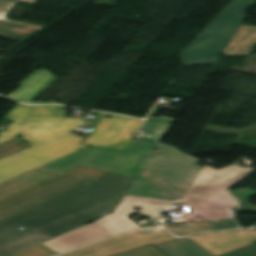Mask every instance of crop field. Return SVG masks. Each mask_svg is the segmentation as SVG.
Segmentation results:
<instances>
[{"label": "crop field", "mask_w": 256, "mask_h": 256, "mask_svg": "<svg viewBox=\"0 0 256 256\" xmlns=\"http://www.w3.org/2000/svg\"><path fill=\"white\" fill-rule=\"evenodd\" d=\"M199 159L162 144L157 147L112 214L53 237L11 256H55L106 237L140 227L127 217L140 213L153 221L171 203L192 206L206 218H230L237 201L227 189L253 169L237 164L215 170L196 165ZM140 207V211L133 210Z\"/></svg>", "instance_id": "1"}, {"label": "crop field", "mask_w": 256, "mask_h": 256, "mask_svg": "<svg viewBox=\"0 0 256 256\" xmlns=\"http://www.w3.org/2000/svg\"><path fill=\"white\" fill-rule=\"evenodd\" d=\"M133 179L109 174L0 222V256H8L112 213ZM25 229L20 230L19 227Z\"/></svg>", "instance_id": "2"}, {"label": "crop field", "mask_w": 256, "mask_h": 256, "mask_svg": "<svg viewBox=\"0 0 256 256\" xmlns=\"http://www.w3.org/2000/svg\"><path fill=\"white\" fill-rule=\"evenodd\" d=\"M103 116L83 145L82 137L73 133L50 141L0 162V182L81 150L89 145L123 151L143 122L133 118ZM138 130V129H137Z\"/></svg>", "instance_id": "3"}, {"label": "crop field", "mask_w": 256, "mask_h": 256, "mask_svg": "<svg viewBox=\"0 0 256 256\" xmlns=\"http://www.w3.org/2000/svg\"><path fill=\"white\" fill-rule=\"evenodd\" d=\"M95 179L38 168L0 183V221Z\"/></svg>", "instance_id": "4"}, {"label": "crop field", "mask_w": 256, "mask_h": 256, "mask_svg": "<svg viewBox=\"0 0 256 256\" xmlns=\"http://www.w3.org/2000/svg\"><path fill=\"white\" fill-rule=\"evenodd\" d=\"M218 18L182 54L186 66L215 64L224 47L245 19V10L254 0H232Z\"/></svg>", "instance_id": "5"}, {"label": "crop field", "mask_w": 256, "mask_h": 256, "mask_svg": "<svg viewBox=\"0 0 256 256\" xmlns=\"http://www.w3.org/2000/svg\"><path fill=\"white\" fill-rule=\"evenodd\" d=\"M26 106L20 103L5 116L14 120L9 126L23 127L21 137L31 146H35L75 130L84 120L64 118V107Z\"/></svg>", "instance_id": "6"}, {"label": "crop field", "mask_w": 256, "mask_h": 256, "mask_svg": "<svg viewBox=\"0 0 256 256\" xmlns=\"http://www.w3.org/2000/svg\"><path fill=\"white\" fill-rule=\"evenodd\" d=\"M148 159V156L90 146L41 168L64 172L83 165L135 179Z\"/></svg>", "instance_id": "7"}, {"label": "crop field", "mask_w": 256, "mask_h": 256, "mask_svg": "<svg viewBox=\"0 0 256 256\" xmlns=\"http://www.w3.org/2000/svg\"><path fill=\"white\" fill-rule=\"evenodd\" d=\"M174 238L175 237L162 228L135 230L83 247L62 256H109L149 243L156 244ZM121 239L125 241H119Z\"/></svg>", "instance_id": "8"}, {"label": "crop field", "mask_w": 256, "mask_h": 256, "mask_svg": "<svg viewBox=\"0 0 256 256\" xmlns=\"http://www.w3.org/2000/svg\"><path fill=\"white\" fill-rule=\"evenodd\" d=\"M193 240L218 256L256 243V231L232 230L191 236Z\"/></svg>", "instance_id": "9"}, {"label": "crop field", "mask_w": 256, "mask_h": 256, "mask_svg": "<svg viewBox=\"0 0 256 256\" xmlns=\"http://www.w3.org/2000/svg\"><path fill=\"white\" fill-rule=\"evenodd\" d=\"M56 80V76L42 68L21 81V87L10 93L7 97L18 100L27 104H44L56 103V101L33 102L52 82ZM62 104V103H56Z\"/></svg>", "instance_id": "10"}, {"label": "crop field", "mask_w": 256, "mask_h": 256, "mask_svg": "<svg viewBox=\"0 0 256 256\" xmlns=\"http://www.w3.org/2000/svg\"><path fill=\"white\" fill-rule=\"evenodd\" d=\"M34 4L37 0H0V36L22 41L41 30V26L5 19L9 11L19 2Z\"/></svg>", "instance_id": "11"}, {"label": "crop field", "mask_w": 256, "mask_h": 256, "mask_svg": "<svg viewBox=\"0 0 256 256\" xmlns=\"http://www.w3.org/2000/svg\"><path fill=\"white\" fill-rule=\"evenodd\" d=\"M169 128V125L145 121L141 127V130L152 133L153 135L151 138L143 140H131L124 151L151 156Z\"/></svg>", "instance_id": "12"}, {"label": "crop field", "mask_w": 256, "mask_h": 256, "mask_svg": "<svg viewBox=\"0 0 256 256\" xmlns=\"http://www.w3.org/2000/svg\"><path fill=\"white\" fill-rule=\"evenodd\" d=\"M169 256H214L191 238H180L157 244Z\"/></svg>", "instance_id": "13"}, {"label": "crop field", "mask_w": 256, "mask_h": 256, "mask_svg": "<svg viewBox=\"0 0 256 256\" xmlns=\"http://www.w3.org/2000/svg\"><path fill=\"white\" fill-rule=\"evenodd\" d=\"M165 227L169 229L171 233L177 236H185L188 234L209 231V230L238 228L233 218L213 220V221H207V222L185 223V224L165 226Z\"/></svg>", "instance_id": "14"}, {"label": "crop field", "mask_w": 256, "mask_h": 256, "mask_svg": "<svg viewBox=\"0 0 256 256\" xmlns=\"http://www.w3.org/2000/svg\"><path fill=\"white\" fill-rule=\"evenodd\" d=\"M234 38L241 39L236 46H228L224 55H248L249 51L241 49L247 42L254 43L256 29L241 25Z\"/></svg>", "instance_id": "15"}, {"label": "crop field", "mask_w": 256, "mask_h": 256, "mask_svg": "<svg viewBox=\"0 0 256 256\" xmlns=\"http://www.w3.org/2000/svg\"><path fill=\"white\" fill-rule=\"evenodd\" d=\"M28 148H30V146L21 137H17L7 142L1 143L0 159H3Z\"/></svg>", "instance_id": "16"}, {"label": "crop field", "mask_w": 256, "mask_h": 256, "mask_svg": "<svg viewBox=\"0 0 256 256\" xmlns=\"http://www.w3.org/2000/svg\"><path fill=\"white\" fill-rule=\"evenodd\" d=\"M230 193L240 200V206L237 209V211L256 212V208L248 205L246 202V197L255 195L256 194L255 191L245 188L241 190L231 191Z\"/></svg>", "instance_id": "17"}, {"label": "crop field", "mask_w": 256, "mask_h": 256, "mask_svg": "<svg viewBox=\"0 0 256 256\" xmlns=\"http://www.w3.org/2000/svg\"><path fill=\"white\" fill-rule=\"evenodd\" d=\"M116 256H166L152 245L138 248Z\"/></svg>", "instance_id": "18"}, {"label": "crop field", "mask_w": 256, "mask_h": 256, "mask_svg": "<svg viewBox=\"0 0 256 256\" xmlns=\"http://www.w3.org/2000/svg\"><path fill=\"white\" fill-rule=\"evenodd\" d=\"M66 173H72V174H78V175H84V176H90V177H96V178H100L104 175L109 174L105 171L95 170V169H91L83 166H77L67 171Z\"/></svg>", "instance_id": "19"}, {"label": "crop field", "mask_w": 256, "mask_h": 256, "mask_svg": "<svg viewBox=\"0 0 256 256\" xmlns=\"http://www.w3.org/2000/svg\"><path fill=\"white\" fill-rule=\"evenodd\" d=\"M221 256H256V244L238 249Z\"/></svg>", "instance_id": "20"}, {"label": "crop field", "mask_w": 256, "mask_h": 256, "mask_svg": "<svg viewBox=\"0 0 256 256\" xmlns=\"http://www.w3.org/2000/svg\"><path fill=\"white\" fill-rule=\"evenodd\" d=\"M22 128L9 127L7 131L0 133V143L20 136Z\"/></svg>", "instance_id": "21"}, {"label": "crop field", "mask_w": 256, "mask_h": 256, "mask_svg": "<svg viewBox=\"0 0 256 256\" xmlns=\"http://www.w3.org/2000/svg\"><path fill=\"white\" fill-rule=\"evenodd\" d=\"M239 40L232 39L229 45H236Z\"/></svg>", "instance_id": "22"}, {"label": "crop field", "mask_w": 256, "mask_h": 256, "mask_svg": "<svg viewBox=\"0 0 256 256\" xmlns=\"http://www.w3.org/2000/svg\"><path fill=\"white\" fill-rule=\"evenodd\" d=\"M251 27H253V26H251ZM256 28V27H255Z\"/></svg>", "instance_id": "23"}, {"label": "crop field", "mask_w": 256, "mask_h": 256, "mask_svg": "<svg viewBox=\"0 0 256 256\" xmlns=\"http://www.w3.org/2000/svg\"><path fill=\"white\" fill-rule=\"evenodd\" d=\"M256 43V42H255Z\"/></svg>", "instance_id": "24"}]
</instances>
